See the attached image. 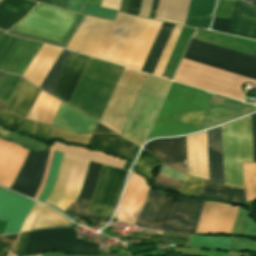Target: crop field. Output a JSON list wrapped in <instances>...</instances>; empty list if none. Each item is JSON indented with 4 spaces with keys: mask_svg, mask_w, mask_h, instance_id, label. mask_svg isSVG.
<instances>
[{
    "mask_svg": "<svg viewBox=\"0 0 256 256\" xmlns=\"http://www.w3.org/2000/svg\"><path fill=\"white\" fill-rule=\"evenodd\" d=\"M161 23L121 13L115 22L85 16L67 49L140 70Z\"/></svg>",
    "mask_w": 256,
    "mask_h": 256,
    "instance_id": "obj_1",
    "label": "crop field"
},
{
    "mask_svg": "<svg viewBox=\"0 0 256 256\" xmlns=\"http://www.w3.org/2000/svg\"><path fill=\"white\" fill-rule=\"evenodd\" d=\"M88 58L71 52L52 96L68 103ZM122 68L90 57L68 105L99 121Z\"/></svg>",
    "mask_w": 256,
    "mask_h": 256,
    "instance_id": "obj_2",
    "label": "crop field"
},
{
    "mask_svg": "<svg viewBox=\"0 0 256 256\" xmlns=\"http://www.w3.org/2000/svg\"><path fill=\"white\" fill-rule=\"evenodd\" d=\"M211 96L172 83L147 139L196 131Z\"/></svg>",
    "mask_w": 256,
    "mask_h": 256,
    "instance_id": "obj_3",
    "label": "crop field"
},
{
    "mask_svg": "<svg viewBox=\"0 0 256 256\" xmlns=\"http://www.w3.org/2000/svg\"><path fill=\"white\" fill-rule=\"evenodd\" d=\"M161 195L150 190L136 224L154 230L188 233L197 201L180 198L174 204V198L168 193L162 198Z\"/></svg>",
    "mask_w": 256,
    "mask_h": 256,
    "instance_id": "obj_4",
    "label": "crop field"
},
{
    "mask_svg": "<svg viewBox=\"0 0 256 256\" xmlns=\"http://www.w3.org/2000/svg\"><path fill=\"white\" fill-rule=\"evenodd\" d=\"M169 83V80L147 75L121 135L142 145Z\"/></svg>",
    "mask_w": 256,
    "mask_h": 256,
    "instance_id": "obj_5",
    "label": "crop field"
},
{
    "mask_svg": "<svg viewBox=\"0 0 256 256\" xmlns=\"http://www.w3.org/2000/svg\"><path fill=\"white\" fill-rule=\"evenodd\" d=\"M225 185L243 188L241 161L253 162L250 116L222 126Z\"/></svg>",
    "mask_w": 256,
    "mask_h": 256,
    "instance_id": "obj_6",
    "label": "crop field"
},
{
    "mask_svg": "<svg viewBox=\"0 0 256 256\" xmlns=\"http://www.w3.org/2000/svg\"><path fill=\"white\" fill-rule=\"evenodd\" d=\"M183 58L256 79V57L197 39H191Z\"/></svg>",
    "mask_w": 256,
    "mask_h": 256,
    "instance_id": "obj_7",
    "label": "crop field"
},
{
    "mask_svg": "<svg viewBox=\"0 0 256 256\" xmlns=\"http://www.w3.org/2000/svg\"><path fill=\"white\" fill-rule=\"evenodd\" d=\"M144 76L145 73L123 68L99 123L120 133Z\"/></svg>",
    "mask_w": 256,
    "mask_h": 256,
    "instance_id": "obj_8",
    "label": "crop field"
},
{
    "mask_svg": "<svg viewBox=\"0 0 256 256\" xmlns=\"http://www.w3.org/2000/svg\"><path fill=\"white\" fill-rule=\"evenodd\" d=\"M73 228L32 231L18 256L26 251H62L78 254H98L99 245L76 238Z\"/></svg>",
    "mask_w": 256,
    "mask_h": 256,
    "instance_id": "obj_9",
    "label": "crop field"
},
{
    "mask_svg": "<svg viewBox=\"0 0 256 256\" xmlns=\"http://www.w3.org/2000/svg\"><path fill=\"white\" fill-rule=\"evenodd\" d=\"M77 14L38 4L12 29L62 42Z\"/></svg>",
    "mask_w": 256,
    "mask_h": 256,
    "instance_id": "obj_10",
    "label": "crop field"
},
{
    "mask_svg": "<svg viewBox=\"0 0 256 256\" xmlns=\"http://www.w3.org/2000/svg\"><path fill=\"white\" fill-rule=\"evenodd\" d=\"M88 161L62 154L56 180L45 203L65 210L77 199L86 173Z\"/></svg>",
    "mask_w": 256,
    "mask_h": 256,
    "instance_id": "obj_11",
    "label": "crop field"
},
{
    "mask_svg": "<svg viewBox=\"0 0 256 256\" xmlns=\"http://www.w3.org/2000/svg\"><path fill=\"white\" fill-rule=\"evenodd\" d=\"M61 51L62 48L43 44L22 76L39 87ZM70 52L69 50L63 49L40 85L39 88L41 90L52 94Z\"/></svg>",
    "mask_w": 256,
    "mask_h": 256,
    "instance_id": "obj_12",
    "label": "crop field"
},
{
    "mask_svg": "<svg viewBox=\"0 0 256 256\" xmlns=\"http://www.w3.org/2000/svg\"><path fill=\"white\" fill-rule=\"evenodd\" d=\"M48 152L49 150L29 151L11 190L34 198L42 182Z\"/></svg>",
    "mask_w": 256,
    "mask_h": 256,
    "instance_id": "obj_13",
    "label": "crop field"
},
{
    "mask_svg": "<svg viewBox=\"0 0 256 256\" xmlns=\"http://www.w3.org/2000/svg\"><path fill=\"white\" fill-rule=\"evenodd\" d=\"M124 170L102 166L99 179L88 210L106 217L111 209L120 186Z\"/></svg>",
    "mask_w": 256,
    "mask_h": 256,
    "instance_id": "obj_14",
    "label": "crop field"
},
{
    "mask_svg": "<svg viewBox=\"0 0 256 256\" xmlns=\"http://www.w3.org/2000/svg\"><path fill=\"white\" fill-rule=\"evenodd\" d=\"M41 45L11 36L0 52V70L22 75Z\"/></svg>",
    "mask_w": 256,
    "mask_h": 256,
    "instance_id": "obj_15",
    "label": "crop field"
},
{
    "mask_svg": "<svg viewBox=\"0 0 256 256\" xmlns=\"http://www.w3.org/2000/svg\"><path fill=\"white\" fill-rule=\"evenodd\" d=\"M238 208L237 206L206 201L195 233L230 234Z\"/></svg>",
    "mask_w": 256,
    "mask_h": 256,
    "instance_id": "obj_16",
    "label": "crop field"
},
{
    "mask_svg": "<svg viewBox=\"0 0 256 256\" xmlns=\"http://www.w3.org/2000/svg\"><path fill=\"white\" fill-rule=\"evenodd\" d=\"M254 110L255 107L215 94L198 130L216 126Z\"/></svg>",
    "mask_w": 256,
    "mask_h": 256,
    "instance_id": "obj_17",
    "label": "crop field"
},
{
    "mask_svg": "<svg viewBox=\"0 0 256 256\" xmlns=\"http://www.w3.org/2000/svg\"><path fill=\"white\" fill-rule=\"evenodd\" d=\"M34 201L0 188V220L8 221L2 234L17 233Z\"/></svg>",
    "mask_w": 256,
    "mask_h": 256,
    "instance_id": "obj_18",
    "label": "crop field"
},
{
    "mask_svg": "<svg viewBox=\"0 0 256 256\" xmlns=\"http://www.w3.org/2000/svg\"><path fill=\"white\" fill-rule=\"evenodd\" d=\"M144 149L167 165L187 174L185 137L154 140L148 142Z\"/></svg>",
    "mask_w": 256,
    "mask_h": 256,
    "instance_id": "obj_19",
    "label": "crop field"
},
{
    "mask_svg": "<svg viewBox=\"0 0 256 256\" xmlns=\"http://www.w3.org/2000/svg\"><path fill=\"white\" fill-rule=\"evenodd\" d=\"M53 150L68 153V154H71V155L81 157V158L86 159V160H91V161H94V162H98V163H101V164L114 166V167L122 168L124 163H125L124 160L114 158V157H112L108 154H104L102 152L91 151V150H87V149H84V148H81V147H76V146H66V145H63L59 142H55L50 148L49 159H48V163H47V167H46L43 182L41 184V187H40L39 191L37 192V194L35 196V199H37V200H38L39 196L41 195V193L43 191V188L45 186L46 180H47Z\"/></svg>",
    "mask_w": 256,
    "mask_h": 256,
    "instance_id": "obj_20",
    "label": "crop field"
},
{
    "mask_svg": "<svg viewBox=\"0 0 256 256\" xmlns=\"http://www.w3.org/2000/svg\"><path fill=\"white\" fill-rule=\"evenodd\" d=\"M10 142L8 141H2L0 140V156L3 154V152L6 150V148L9 146ZM24 148L11 143V145L8 147V149L5 151V153L0 158V185L2 186L9 174L11 173L12 169L16 165L22 151ZM29 150L25 149L19 162L15 166L14 170L4 183V187L10 188L13 180L15 179L27 153Z\"/></svg>",
    "mask_w": 256,
    "mask_h": 256,
    "instance_id": "obj_21",
    "label": "crop field"
},
{
    "mask_svg": "<svg viewBox=\"0 0 256 256\" xmlns=\"http://www.w3.org/2000/svg\"><path fill=\"white\" fill-rule=\"evenodd\" d=\"M101 166L102 165L100 164H96L92 162L89 163L80 195L74 204L71 203L68 206L65 212H69L79 217H85V218H89L97 221L103 220V218H100L94 215L93 213L80 207L82 206L84 208H87L92 198V194L95 188V184H96L98 173Z\"/></svg>",
    "mask_w": 256,
    "mask_h": 256,
    "instance_id": "obj_22",
    "label": "crop field"
},
{
    "mask_svg": "<svg viewBox=\"0 0 256 256\" xmlns=\"http://www.w3.org/2000/svg\"><path fill=\"white\" fill-rule=\"evenodd\" d=\"M148 191L149 187L146 185L144 179L136 173L131 172L120 206L134 221H136L140 213Z\"/></svg>",
    "mask_w": 256,
    "mask_h": 256,
    "instance_id": "obj_23",
    "label": "crop field"
},
{
    "mask_svg": "<svg viewBox=\"0 0 256 256\" xmlns=\"http://www.w3.org/2000/svg\"><path fill=\"white\" fill-rule=\"evenodd\" d=\"M97 122L61 103L52 126L75 133L92 132Z\"/></svg>",
    "mask_w": 256,
    "mask_h": 256,
    "instance_id": "obj_24",
    "label": "crop field"
},
{
    "mask_svg": "<svg viewBox=\"0 0 256 256\" xmlns=\"http://www.w3.org/2000/svg\"><path fill=\"white\" fill-rule=\"evenodd\" d=\"M209 180L224 184L221 127L207 131Z\"/></svg>",
    "mask_w": 256,
    "mask_h": 256,
    "instance_id": "obj_25",
    "label": "crop field"
},
{
    "mask_svg": "<svg viewBox=\"0 0 256 256\" xmlns=\"http://www.w3.org/2000/svg\"><path fill=\"white\" fill-rule=\"evenodd\" d=\"M41 90L22 78L4 111L16 113L25 118Z\"/></svg>",
    "mask_w": 256,
    "mask_h": 256,
    "instance_id": "obj_26",
    "label": "crop field"
},
{
    "mask_svg": "<svg viewBox=\"0 0 256 256\" xmlns=\"http://www.w3.org/2000/svg\"><path fill=\"white\" fill-rule=\"evenodd\" d=\"M37 3L28 0H3L0 2V28L5 30L15 25Z\"/></svg>",
    "mask_w": 256,
    "mask_h": 256,
    "instance_id": "obj_27",
    "label": "crop field"
},
{
    "mask_svg": "<svg viewBox=\"0 0 256 256\" xmlns=\"http://www.w3.org/2000/svg\"><path fill=\"white\" fill-rule=\"evenodd\" d=\"M190 0H159L156 20L184 25Z\"/></svg>",
    "mask_w": 256,
    "mask_h": 256,
    "instance_id": "obj_28",
    "label": "crop field"
},
{
    "mask_svg": "<svg viewBox=\"0 0 256 256\" xmlns=\"http://www.w3.org/2000/svg\"><path fill=\"white\" fill-rule=\"evenodd\" d=\"M216 0H191L185 25L209 29Z\"/></svg>",
    "mask_w": 256,
    "mask_h": 256,
    "instance_id": "obj_29",
    "label": "crop field"
},
{
    "mask_svg": "<svg viewBox=\"0 0 256 256\" xmlns=\"http://www.w3.org/2000/svg\"><path fill=\"white\" fill-rule=\"evenodd\" d=\"M59 103L60 101L41 91L26 118L50 125L57 112Z\"/></svg>",
    "mask_w": 256,
    "mask_h": 256,
    "instance_id": "obj_30",
    "label": "crop field"
},
{
    "mask_svg": "<svg viewBox=\"0 0 256 256\" xmlns=\"http://www.w3.org/2000/svg\"><path fill=\"white\" fill-rule=\"evenodd\" d=\"M88 145L108 149L114 154L128 157L134 144L118 135L92 134Z\"/></svg>",
    "mask_w": 256,
    "mask_h": 256,
    "instance_id": "obj_31",
    "label": "crop field"
},
{
    "mask_svg": "<svg viewBox=\"0 0 256 256\" xmlns=\"http://www.w3.org/2000/svg\"><path fill=\"white\" fill-rule=\"evenodd\" d=\"M199 196L245 205L244 191L204 182Z\"/></svg>",
    "mask_w": 256,
    "mask_h": 256,
    "instance_id": "obj_32",
    "label": "crop field"
},
{
    "mask_svg": "<svg viewBox=\"0 0 256 256\" xmlns=\"http://www.w3.org/2000/svg\"><path fill=\"white\" fill-rule=\"evenodd\" d=\"M173 26L174 25L172 24L164 22L162 23L159 32L154 40V43L150 49V52L145 60V63L141 69L142 71L151 74L153 73Z\"/></svg>",
    "mask_w": 256,
    "mask_h": 256,
    "instance_id": "obj_33",
    "label": "crop field"
},
{
    "mask_svg": "<svg viewBox=\"0 0 256 256\" xmlns=\"http://www.w3.org/2000/svg\"><path fill=\"white\" fill-rule=\"evenodd\" d=\"M232 237L190 235L189 246L230 251Z\"/></svg>",
    "mask_w": 256,
    "mask_h": 256,
    "instance_id": "obj_34",
    "label": "crop field"
},
{
    "mask_svg": "<svg viewBox=\"0 0 256 256\" xmlns=\"http://www.w3.org/2000/svg\"><path fill=\"white\" fill-rule=\"evenodd\" d=\"M254 12L255 11L253 9L243 5L237 32H236L237 36H242V37L248 38L252 20H253V16H254ZM249 38L256 40V13H255V17H254V21H253V25H252V29H251Z\"/></svg>",
    "mask_w": 256,
    "mask_h": 256,
    "instance_id": "obj_35",
    "label": "crop field"
},
{
    "mask_svg": "<svg viewBox=\"0 0 256 256\" xmlns=\"http://www.w3.org/2000/svg\"><path fill=\"white\" fill-rule=\"evenodd\" d=\"M248 213L246 209L239 208L231 234H243L256 237V222L249 217Z\"/></svg>",
    "mask_w": 256,
    "mask_h": 256,
    "instance_id": "obj_36",
    "label": "crop field"
},
{
    "mask_svg": "<svg viewBox=\"0 0 256 256\" xmlns=\"http://www.w3.org/2000/svg\"><path fill=\"white\" fill-rule=\"evenodd\" d=\"M18 131L48 142L50 126L24 120Z\"/></svg>",
    "mask_w": 256,
    "mask_h": 256,
    "instance_id": "obj_37",
    "label": "crop field"
},
{
    "mask_svg": "<svg viewBox=\"0 0 256 256\" xmlns=\"http://www.w3.org/2000/svg\"><path fill=\"white\" fill-rule=\"evenodd\" d=\"M160 161L157 160L154 156L146 152L145 150H142L136 164L135 168L147 175L150 179H152L153 173L152 171L160 165Z\"/></svg>",
    "mask_w": 256,
    "mask_h": 256,
    "instance_id": "obj_38",
    "label": "crop field"
},
{
    "mask_svg": "<svg viewBox=\"0 0 256 256\" xmlns=\"http://www.w3.org/2000/svg\"><path fill=\"white\" fill-rule=\"evenodd\" d=\"M21 80V77L12 74L4 73L0 81V100L9 101L16 85Z\"/></svg>",
    "mask_w": 256,
    "mask_h": 256,
    "instance_id": "obj_39",
    "label": "crop field"
},
{
    "mask_svg": "<svg viewBox=\"0 0 256 256\" xmlns=\"http://www.w3.org/2000/svg\"><path fill=\"white\" fill-rule=\"evenodd\" d=\"M61 154L62 153L56 152V151H54V153H53V158H52V163H51V167H50L48 180H47L45 189H44L41 197L39 198V201H41V202H44V200L47 198V196L49 195V193L51 191V188H52L54 180H55L56 172L58 169V165L60 162Z\"/></svg>",
    "mask_w": 256,
    "mask_h": 256,
    "instance_id": "obj_40",
    "label": "crop field"
},
{
    "mask_svg": "<svg viewBox=\"0 0 256 256\" xmlns=\"http://www.w3.org/2000/svg\"><path fill=\"white\" fill-rule=\"evenodd\" d=\"M91 134L85 135H75L67 131H63L52 127L51 137L64 138L65 140L76 142V143H86L89 141Z\"/></svg>",
    "mask_w": 256,
    "mask_h": 256,
    "instance_id": "obj_41",
    "label": "crop field"
},
{
    "mask_svg": "<svg viewBox=\"0 0 256 256\" xmlns=\"http://www.w3.org/2000/svg\"><path fill=\"white\" fill-rule=\"evenodd\" d=\"M203 181H204L203 179H199V178H195L187 175L186 181L183 184V187L180 193L198 196Z\"/></svg>",
    "mask_w": 256,
    "mask_h": 256,
    "instance_id": "obj_42",
    "label": "crop field"
},
{
    "mask_svg": "<svg viewBox=\"0 0 256 256\" xmlns=\"http://www.w3.org/2000/svg\"><path fill=\"white\" fill-rule=\"evenodd\" d=\"M116 12L117 11L115 10L100 8V7L86 5V4H84L83 11H82V13L84 14L93 15L101 18L110 19V20H113Z\"/></svg>",
    "mask_w": 256,
    "mask_h": 256,
    "instance_id": "obj_43",
    "label": "crop field"
},
{
    "mask_svg": "<svg viewBox=\"0 0 256 256\" xmlns=\"http://www.w3.org/2000/svg\"><path fill=\"white\" fill-rule=\"evenodd\" d=\"M154 184L158 188L168 189L172 191L179 192L182 186V182L172 180L169 178L162 177L160 175L156 176L154 179Z\"/></svg>",
    "mask_w": 256,
    "mask_h": 256,
    "instance_id": "obj_44",
    "label": "crop field"
},
{
    "mask_svg": "<svg viewBox=\"0 0 256 256\" xmlns=\"http://www.w3.org/2000/svg\"><path fill=\"white\" fill-rule=\"evenodd\" d=\"M22 120V118L13 115L12 113L0 112V124L6 126L9 129L17 131Z\"/></svg>",
    "mask_w": 256,
    "mask_h": 256,
    "instance_id": "obj_45",
    "label": "crop field"
},
{
    "mask_svg": "<svg viewBox=\"0 0 256 256\" xmlns=\"http://www.w3.org/2000/svg\"><path fill=\"white\" fill-rule=\"evenodd\" d=\"M231 251H256V242L243 238H233Z\"/></svg>",
    "mask_w": 256,
    "mask_h": 256,
    "instance_id": "obj_46",
    "label": "crop field"
},
{
    "mask_svg": "<svg viewBox=\"0 0 256 256\" xmlns=\"http://www.w3.org/2000/svg\"><path fill=\"white\" fill-rule=\"evenodd\" d=\"M43 208H44V205L35 202V204L33 205L32 209L28 213V215H27V217H26V219L23 223L21 231L28 230V229L31 228V226L34 223L36 217L38 216V214L41 212V210Z\"/></svg>",
    "mask_w": 256,
    "mask_h": 256,
    "instance_id": "obj_47",
    "label": "crop field"
},
{
    "mask_svg": "<svg viewBox=\"0 0 256 256\" xmlns=\"http://www.w3.org/2000/svg\"><path fill=\"white\" fill-rule=\"evenodd\" d=\"M159 174L163 175V176H166V177H169V178L179 180V181H183V182H184V179H185V175L169 168L168 166H166L164 164H162V167L160 169Z\"/></svg>",
    "mask_w": 256,
    "mask_h": 256,
    "instance_id": "obj_48",
    "label": "crop field"
},
{
    "mask_svg": "<svg viewBox=\"0 0 256 256\" xmlns=\"http://www.w3.org/2000/svg\"><path fill=\"white\" fill-rule=\"evenodd\" d=\"M230 20L214 18L212 30L220 32H228Z\"/></svg>",
    "mask_w": 256,
    "mask_h": 256,
    "instance_id": "obj_49",
    "label": "crop field"
},
{
    "mask_svg": "<svg viewBox=\"0 0 256 256\" xmlns=\"http://www.w3.org/2000/svg\"><path fill=\"white\" fill-rule=\"evenodd\" d=\"M84 15L79 14L78 18L76 19L75 23L73 24L72 28L68 32L67 36L65 37L64 41L61 44V47L66 48L67 44L69 43L70 39L72 38L73 34L77 30L78 26L80 25L81 21L83 20Z\"/></svg>",
    "mask_w": 256,
    "mask_h": 256,
    "instance_id": "obj_50",
    "label": "crop field"
},
{
    "mask_svg": "<svg viewBox=\"0 0 256 256\" xmlns=\"http://www.w3.org/2000/svg\"><path fill=\"white\" fill-rule=\"evenodd\" d=\"M241 6H242L241 4L236 2L234 12H233V16H232L231 25H230L229 32H228L229 34H233V35L235 34V30H236V26H237L239 14H240Z\"/></svg>",
    "mask_w": 256,
    "mask_h": 256,
    "instance_id": "obj_51",
    "label": "crop field"
},
{
    "mask_svg": "<svg viewBox=\"0 0 256 256\" xmlns=\"http://www.w3.org/2000/svg\"><path fill=\"white\" fill-rule=\"evenodd\" d=\"M17 236H18V234L10 235V236H0V244L3 246H6L10 250L12 248Z\"/></svg>",
    "mask_w": 256,
    "mask_h": 256,
    "instance_id": "obj_52",
    "label": "crop field"
},
{
    "mask_svg": "<svg viewBox=\"0 0 256 256\" xmlns=\"http://www.w3.org/2000/svg\"><path fill=\"white\" fill-rule=\"evenodd\" d=\"M251 124H252V139H253V155H254V162H256V114L251 116Z\"/></svg>",
    "mask_w": 256,
    "mask_h": 256,
    "instance_id": "obj_53",
    "label": "crop field"
},
{
    "mask_svg": "<svg viewBox=\"0 0 256 256\" xmlns=\"http://www.w3.org/2000/svg\"><path fill=\"white\" fill-rule=\"evenodd\" d=\"M140 2L141 0H129L126 13L137 15Z\"/></svg>",
    "mask_w": 256,
    "mask_h": 256,
    "instance_id": "obj_54",
    "label": "crop field"
},
{
    "mask_svg": "<svg viewBox=\"0 0 256 256\" xmlns=\"http://www.w3.org/2000/svg\"><path fill=\"white\" fill-rule=\"evenodd\" d=\"M202 204H203V202L198 201L197 208H196V211H195V215H194V218H193V222H192V225H191V228H190V232H193V233L195 232L196 225H197L199 215H200V212H201Z\"/></svg>",
    "mask_w": 256,
    "mask_h": 256,
    "instance_id": "obj_55",
    "label": "crop field"
},
{
    "mask_svg": "<svg viewBox=\"0 0 256 256\" xmlns=\"http://www.w3.org/2000/svg\"><path fill=\"white\" fill-rule=\"evenodd\" d=\"M29 232H22L15 247L13 248V250L11 252H13L14 254L17 255V253L19 252V250L21 249L27 235H28Z\"/></svg>",
    "mask_w": 256,
    "mask_h": 256,
    "instance_id": "obj_56",
    "label": "crop field"
},
{
    "mask_svg": "<svg viewBox=\"0 0 256 256\" xmlns=\"http://www.w3.org/2000/svg\"><path fill=\"white\" fill-rule=\"evenodd\" d=\"M120 1L121 0H103L101 6L118 10Z\"/></svg>",
    "mask_w": 256,
    "mask_h": 256,
    "instance_id": "obj_57",
    "label": "crop field"
},
{
    "mask_svg": "<svg viewBox=\"0 0 256 256\" xmlns=\"http://www.w3.org/2000/svg\"><path fill=\"white\" fill-rule=\"evenodd\" d=\"M81 3H82V0H69L67 9L79 13Z\"/></svg>",
    "mask_w": 256,
    "mask_h": 256,
    "instance_id": "obj_58",
    "label": "crop field"
},
{
    "mask_svg": "<svg viewBox=\"0 0 256 256\" xmlns=\"http://www.w3.org/2000/svg\"><path fill=\"white\" fill-rule=\"evenodd\" d=\"M116 219L120 220V221H124L126 223H129L132 225L133 221L131 219H129L126 214L119 208L117 213H116Z\"/></svg>",
    "mask_w": 256,
    "mask_h": 256,
    "instance_id": "obj_59",
    "label": "crop field"
},
{
    "mask_svg": "<svg viewBox=\"0 0 256 256\" xmlns=\"http://www.w3.org/2000/svg\"><path fill=\"white\" fill-rule=\"evenodd\" d=\"M68 0H52V6L66 9Z\"/></svg>",
    "mask_w": 256,
    "mask_h": 256,
    "instance_id": "obj_60",
    "label": "crop field"
},
{
    "mask_svg": "<svg viewBox=\"0 0 256 256\" xmlns=\"http://www.w3.org/2000/svg\"><path fill=\"white\" fill-rule=\"evenodd\" d=\"M127 171H124V175H123V179H122V182H121V186H120V189H119V193H118V196H117V199L111 209V211L109 212L108 216L109 217L111 215V213L113 212V210L115 209L116 205H117V202L119 200V197H120V193H121V189H122V186H123V182H124V178H125V175H126Z\"/></svg>",
    "mask_w": 256,
    "mask_h": 256,
    "instance_id": "obj_61",
    "label": "crop field"
},
{
    "mask_svg": "<svg viewBox=\"0 0 256 256\" xmlns=\"http://www.w3.org/2000/svg\"><path fill=\"white\" fill-rule=\"evenodd\" d=\"M94 132L113 133V132L109 131L108 129H106L105 127L101 126L100 124H97Z\"/></svg>",
    "mask_w": 256,
    "mask_h": 256,
    "instance_id": "obj_62",
    "label": "crop field"
},
{
    "mask_svg": "<svg viewBox=\"0 0 256 256\" xmlns=\"http://www.w3.org/2000/svg\"><path fill=\"white\" fill-rule=\"evenodd\" d=\"M157 1H158V0H153V4H152L150 16H149V18H151V19H153V17H154V13H155L154 8L156 9Z\"/></svg>",
    "mask_w": 256,
    "mask_h": 256,
    "instance_id": "obj_63",
    "label": "crop field"
},
{
    "mask_svg": "<svg viewBox=\"0 0 256 256\" xmlns=\"http://www.w3.org/2000/svg\"><path fill=\"white\" fill-rule=\"evenodd\" d=\"M101 1L102 0H84L83 2L100 6Z\"/></svg>",
    "mask_w": 256,
    "mask_h": 256,
    "instance_id": "obj_64",
    "label": "crop field"
},
{
    "mask_svg": "<svg viewBox=\"0 0 256 256\" xmlns=\"http://www.w3.org/2000/svg\"><path fill=\"white\" fill-rule=\"evenodd\" d=\"M134 235H143V236H156V237H161L162 235L159 234H151V233H140V232H134Z\"/></svg>",
    "mask_w": 256,
    "mask_h": 256,
    "instance_id": "obj_65",
    "label": "crop field"
},
{
    "mask_svg": "<svg viewBox=\"0 0 256 256\" xmlns=\"http://www.w3.org/2000/svg\"><path fill=\"white\" fill-rule=\"evenodd\" d=\"M128 0H122L119 11L125 12Z\"/></svg>",
    "mask_w": 256,
    "mask_h": 256,
    "instance_id": "obj_66",
    "label": "crop field"
},
{
    "mask_svg": "<svg viewBox=\"0 0 256 256\" xmlns=\"http://www.w3.org/2000/svg\"><path fill=\"white\" fill-rule=\"evenodd\" d=\"M1 252H2V253H1ZM0 253H1L0 256H6L7 253H8V251H6L4 248H2V247L0 246Z\"/></svg>",
    "mask_w": 256,
    "mask_h": 256,
    "instance_id": "obj_67",
    "label": "crop field"
},
{
    "mask_svg": "<svg viewBox=\"0 0 256 256\" xmlns=\"http://www.w3.org/2000/svg\"><path fill=\"white\" fill-rule=\"evenodd\" d=\"M0 133L3 134V135H8V134H10V132H8V131H6V130H4V129H2V128H0Z\"/></svg>",
    "mask_w": 256,
    "mask_h": 256,
    "instance_id": "obj_68",
    "label": "crop field"
},
{
    "mask_svg": "<svg viewBox=\"0 0 256 256\" xmlns=\"http://www.w3.org/2000/svg\"><path fill=\"white\" fill-rule=\"evenodd\" d=\"M7 103L0 101V111L5 107Z\"/></svg>",
    "mask_w": 256,
    "mask_h": 256,
    "instance_id": "obj_69",
    "label": "crop field"
},
{
    "mask_svg": "<svg viewBox=\"0 0 256 256\" xmlns=\"http://www.w3.org/2000/svg\"><path fill=\"white\" fill-rule=\"evenodd\" d=\"M36 1L43 2V3L49 4V5L51 3V0H36Z\"/></svg>",
    "mask_w": 256,
    "mask_h": 256,
    "instance_id": "obj_70",
    "label": "crop field"
},
{
    "mask_svg": "<svg viewBox=\"0 0 256 256\" xmlns=\"http://www.w3.org/2000/svg\"><path fill=\"white\" fill-rule=\"evenodd\" d=\"M250 4L256 6V0H252Z\"/></svg>",
    "mask_w": 256,
    "mask_h": 256,
    "instance_id": "obj_71",
    "label": "crop field"
},
{
    "mask_svg": "<svg viewBox=\"0 0 256 256\" xmlns=\"http://www.w3.org/2000/svg\"><path fill=\"white\" fill-rule=\"evenodd\" d=\"M253 55L256 56V50H255V52L253 53Z\"/></svg>",
    "mask_w": 256,
    "mask_h": 256,
    "instance_id": "obj_72",
    "label": "crop field"
},
{
    "mask_svg": "<svg viewBox=\"0 0 256 256\" xmlns=\"http://www.w3.org/2000/svg\"><path fill=\"white\" fill-rule=\"evenodd\" d=\"M35 1V0H34Z\"/></svg>",
    "mask_w": 256,
    "mask_h": 256,
    "instance_id": "obj_73",
    "label": "crop field"
}]
</instances>
